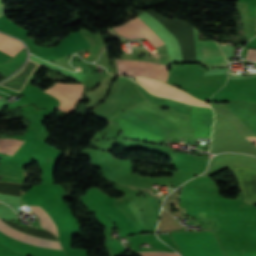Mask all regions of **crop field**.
Returning <instances> with one entry per match:
<instances>
[{
	"label": "crop field",
	"mask_w": 256,
	"mask_h": 256,
	"mask_svg": "<svg viewBox=\"0 0 256 256\" xmlns=\"http://www.w3.org/2000/svg\"><path fill=\"white\" fill-rule=\"evenodd\" d=\"M120 35L128 38H147L156 48L164 43L138 18L135 17L126 24L114 27Z\"/></svg>",
	"instance_id": "5"
},
{
	"label": "crop field",
	"mask_w": 256,
	"mask_h": 256,
	"mask_svg": "<svg viewBox=\"0 0 256 256\" xmlns=\"http://www.w3.org/2000/svg\"><path fill=\"white\" fill-rule=\"evenodd\" d=\"M194 61H198L199 42H196V30L189 25ZM199 62L204 66L224 65L225 56L216 42H200Z\"/></svg>",
	"instance_id": "2"
},
{
	"label": "crop field",
	"mask_w": 256,
	"mask_h": 256,
	"mask_svg": "<svg viewBox=\"0 0 256 256\" xmlns=\"http://www.w3.org/2000/svg\"><path fill=\"white\" fill-rule=\"evenodd\" d=\"M0 232L3 233L4 235L21 240L30 244L38 245V246H43V247H48L52 249H57V250H62L59 242L56 241H50V240H43L39 239L37 237L29 236L26 235L22 232H19L15 229H12L8 227L3 221L0 220Z\"/></svg>",
	"instance_id": "7"
},
{
	"label": "crop field",
	"mask_w": 256,
	"mask_h": 256,
	"mask_svg": "<svg viewBox=\"0 0 256 256\" xmlns=\"http://www.w3.org/2000/svg\"><path fill=\"white\" fill-rule=\"evenodd\" d=\"M83 85L57 83L45 92L53 95L60 101L57 108L70 113L75 104L81 99Z\"/></svg>",
	"instance_id": "4"
},
{
	"label": "crop field",
	"mask_w": 256,
	"mask_h": 256,
	"mask_svg": "<svg viewBox=\"0 0 256 256\" xmlns=\"http://www.w3.org/2000/svg\"><path fill=\"white\" fill-rule=\"evenodd\" d=\"M120 75H138L161 81L167 80L168 66L146 61L118 59Z\"/></svg>",
	"instance_id": "1"
},
{
	"label": "crop field",
	"mask_w": 256,
	"mask_h": 256,
	"mask_svg": "<svg viewBox=\"0 0 256 256\" xmlns=\"http://www.w3.org/2000/svg\"><path fill=\"white\" fill-rule=\"evenodd\" d=\"M120 125L123 128V131L137 139L144 140V141H151V140H158L161 137L142 128L141 126L125 119L122 117L120 120Z\"/></svg>",
	"instance_id": "8"
},
{
	"label": "crop field",
	"mask_w": 256,
	"mask_h": 256,
	"mask_svg": "<svg viewBox=\"0 0 256 256\" xmlns=\"http://www.w3.org/2000/svg\"><path fill=\"white\" fill-rule=\"evenodd\" d=\"M22 143L14 139H0V153L11 156Z\"/></svg>",
	"instance_id": "10"
},
{
	"label": "crop field",
	"mask_w": 256,
	"mask_h": 256,
	"mask_svg": "<svg viewBox=\"0 0 256 256\" xmlns=\"http://www.w3.org/2000/svg\"><path fill=\"white\" fill-rule=\"evenodd\" d=\"M31 211L39 217L40 225L58 236L56 226L50 216L40 206H29Z\"/></svg>",
	"instance_id": "9"
},
{
	"label": "crop field",
	"mask_w": 256,
	"mask_h": 256,
	"mask_svg": "<svg viewBox=\"0 0 256 256\" xmlns=\"http://www.w3.org/2000/svg\"><path fill=\"white\" fill-rule=\"evenodd\" d=\"M135 77H136L138 83H140L147 90H149L150 92H152L156 95L184 101V102L195 104V105L210 107L208 103L199 101L196 98L192 97L191 95H189L177 88H174L170 85H167L160 81L149 79V78L138 77V76H135Z\"/></svg>",
	"instance_id": "3"
},
{
	"label": "crop field",
	"mask_w": 256,
	"mask_h": 256,
	"mask_svg": "<svg viewBox=\"0 0 256 256\" xmlns=\"http://www.w3.org/2000/svg\"><path fill=\"white\" fill-rule=\"evenodd\" d=\"M245 59L256 61V50L249 49Z\"/></svg>",
	"instance_id": "12"
},
{
	"label": "crop field",
	"mask_w": 256,
	"mask_h": 256,
	"mask_svg": "<svg viewBox=\"0 0 256 256\" xmlns=\"http://www.w3.org/2000/svg\"><path fill=\"white\" fill-rule=\"evenodd\" d=\"M213 123V112L204 107H193L190 124L196 136H210Z\"/></svg>",
	"instance_id": "6"
},
{
	"label": "crop field",
	"mask_w": 256,
	"mask_h": 256,
	"mask_svg": "<svg viewBox=\"0 0 256 256\" xmlns=\"http://www.w3.org/2000/svg\"><path fill=\"white\" fill-rule=\"evenodd\" d=\"M249 138L251 141H253L254 143H256V137H247Z\"/></svg>",
	"instance_id": "13"
},
{
	"label": "crop field",
	"mask_w": 256,
	"mask_h": 256,
	"mask_svg": "<svg viewBox=\"0 0 256 256\" xmlns=\"http://www.w3.org/2000/svg\"><path fill=\"white\" fill-rule=\"evenodd\" d=\"M142 256H179L178 254L171 253H141Z\"/></svg>",
	"instance_id": "11"
}]
</instances>
